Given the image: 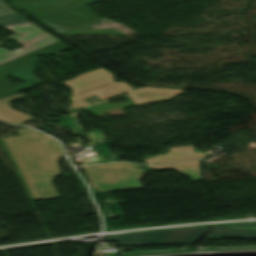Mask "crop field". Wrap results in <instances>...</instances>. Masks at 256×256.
<instances>
[{
    "instance_id": "8a807250",
    "label": "crop field",
    "mask_w": 256,
    "mask_h": 256,
    "mask_svg": "<svg viewBox=\"0 0 256 256\" xmlns=\"http://www.w3.org/2000/svg\"><path fill=\"white\" fill-rule=\"evenodd\" d=\"M19 136L3 138L33 200L59 197L53 179L61 175L58 161L62 148L38 131L22 129Z\"/></svg>"
},
{
    "instance_id": "ac0d7876",
    "label": "crop field",
    "mask_w": 256,
    "mask_h": 256,
    "mask_svg": "<svg viewBox=\"0 0 256 256\" xmlns=\"http://www.w3.org/2000/svg\"><path fill=\"white\" fill-rule=\"evenodd\" d=\"M106 71L100 68L64 82L72 88L73 95L70 97L73 101L72 109L90 105L83 99L92 96L104 100L126 92L135 104H143L169 101L183 91L150 87L133 90L127 83L114 82L113 75Z\"/></svg>"
},
{
    "instance_id": "34b2d1b8",
    "label": "crop field",
    "mask_w": 256,
    "mask_h": 256,
    "mask_svg": "<svg viewBox=\"0 0 256 256\" xmlns=\"http://www.w3.org/2000/svg\"><path fill=\"white\" fill-rule=\"evenodd\" d=\"M85 170L92 188L100 192L142 188L140 178L146 173L128 163L90 166Z\"/></svg>"
},
{
    "instance_id": "412701ff",
    "label": "crop field",
    "mask_w": 256,
    "mask_h": 256,
    "mask_svg": "<svg viewBox=\"0 0 256 256\" xmlns=\"http://www.w3.org/2000/svg\"><path fill=\"white\" fill-rule=\"evenodd\" d=\"M13 13L15 12L8 8L2 0H0V16ZM6 24H10V26L6 27L7 29L18 33H23V35L14 38L15 41L21 39L28 42L29 44L20 48L24 51L19 54L0 48V64L12 60L25 53L32 52L53 42L59 41L55 37L33 25L19 15L0 17V25Z\"/></svg>"
},
{
    "instance_id": "f4fd0767",
    "label": "crop field",
    "mask_w": 256,
    "mask_h": 256,
    "mask_svg": "<svg viewBox=\"0 0 256 256\" xmlns=\"http://www.w3.org/2000/svg\"><path fill=\"white\" fill-rule=\"evenodd\" d=\"M208 232V226L167 229L106 236L104 241H118L121 246L194 243Z\"/></svg>"
},
{
    "instance_id": "dd49c442",
    "label": "crop field",
    "mask_w": 256,
    "mask_h": 256,
    "mask_svg": "<svg viewBox=\"0 0 256 256\" xmlns=\"http://www.w3.org/2000/svg\"><path fill=\"white\" fill-rule=\"evenodd\" d=\"M67 47L62 42L52 44L32 54L10 61L0 65V98L16 94L18 91L41 83L34 75V70L38 58L36 56L44 53H53ZM18 76L19 78L29 81L24 85H20L12 89L4 76Z\"/></svg>"
},
{
    "instance_id": "e52e79f7",
    "label": "crop field",
    "mask_w": 256,
    "mask_h": 256,
    "mask_svg": "<svg viewBox=\"0 0 256 256\" xmlns=\"http://www.w3.org/2000/svg\"><path fill=\"white\" fill-rule=\"evenodd\" d=\"M208 237L256 238V223L212 226Z\"/></svg>"
},
{
    "instance_id": "d8731c3e",
    "label": "crop field",
    "mask_w": 256,
    "mask_h": 256,
    "mask_svg": "<svg viewBox=\"0 0 256 256\" xmlns=\"http://www.w3.org/2000/svg\"><path fill=\"white\" fill-rule=\"evenodd\" d=\"M193 146L171 148L167 154L146 159L148 164L205 158L203 153H193Z\"/></svg>"
},
{
    "instance_id": "5a996713",
    "label": "crop field",
    "mask_w": 256,
    "mask_h": 256,
    "mask_svg": "<svg viewBox=\"0 0 256 256\" xmlns=\"http://www.w3.org/2000/svg\"><path fill=\"white\" fill-rule=\"evenodd\" d=\"M24 96L21 94L6 97L0 99V120L5 121V122H11L14 124H19V122H27L31 121L32 117L11 109L10 103L12 102L13 99L16 98H23Z\"/></svg>"
},
{
    "instance_id": "3316defc",
    "label": "crop field",
    "mask_w": 256,
    "mask_h": 256,
    "mask_svg": "<svg viewBox=\"0 0 256 256\" xmlns=\"http://www.w3.org/2000/svg\"><path fill=\"white\" fill-rule=\"evenodd\" d=\"M199 162H200V160L191 161V162H183V163L154 165V166H150V168H153L155 170L175 169L179 172H182L184 174L189 175L190 178L192 179V181H198V180H201L200 179V172L198 170Z\"/></svg>"
}]
</instances>
